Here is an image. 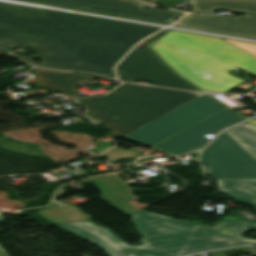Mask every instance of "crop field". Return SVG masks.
Returning <instances> with one entry per match:
<instances>
[{
  "label": "crop field",
  "mask_w": 256,
  "mask_h": 256,
  "mask_svg": "<svg viewBox=\"0 0 256 256\" xmlns=\"http://www.w3.org/2000/svg\"><path fill=\"white\" fill-rule=\"evenodd\" d=\"M157 30L160 28L0 3V52L41 67L114 78L112 65L137 41ZM20 45L39 54L26 57L11 51ZM36 57L44 63L33 62Z\"/></svg>",
  "instance_id": "obj_1"
},
{
  "label": "crop field",
  "mask_w": 256,
  "mask_h": 256,
  "mask_svg": "<svg viewBox=\"0 0 256 256\" xmlns=\"http://www.w3.org/2000/svg\"><path fill=\"white\" fill-rule=\"evenodd\" d=\"M133 226L143 237V245L132 247L112 233L110 228L91 221L60 225L63 229L100 246L110 256H175L233 245L256 242L242 238L245 230L256 232V223L222 220L215 227L170 219L140 210L132 215ZM201 237L198 239L197 237Z\"/></svg>",
  "instance_id": "obj_2"
},
{
  "label": "crop field",
  "mask_w": 256,
  "mask_h": 256,
  "mask_svg": "<svg viewBox=\"0 0 256 256\" xmlns=\"http://www.w3.org/2000/svg\"><path fill=\"white\" fill-rule=\"evenodd\" d=\"M150 45L179 75L203 91L224 92L242 80L236 67L256 75V58L218 37L172 30Z\"/></svg>",
  "instance_id": "obj_3"
},
{
  "label": "crop field",
  "mask_w": 256,
  "mask_h": 256,
  "mask_svg": "<svg viewBox=\"0 0 256 256\" xmlns=\"http://www.w3.org/2000/svg\"><path fill=\"white\" fill-rule=\"evenodd\" d=\"M162 88L121 85L102 97H82L88 115L104 122L110 134L123 137L200 96Z\"/></svg>",
  "instance_id": "obj_4"
},
{
  "label": "crop field",
  "mask_w": 256,
  "mask_h": 256,
  "mask_svg": "<svg viewBox=\"0 0 256 256\" xmlns=\"http://www.w3.org/2000/svg\"><path fill=\"white\" fill-rule=\"evenodd\" d=\"M193 12L215 13L216 8L244 13L242 18L189 14L180 26L256 39V0H189Z\"/></svg>",
  "instance_id": "obj_5"
},
{
  "label": "crop field",
  "mask_w": 256,
  "mask_h": 256,
  "mask_svg": "<svg viewBox=\"0 0 256 256\" xmlns=\"http://www.w3.org/2000/svg\"><path fill=\"white\" fill-rule=\"evenodd\" d=\"M225 107L204 94L124 138L152 147Z\"/></svg>",
  "instance_id": "obj_6"
},
{
  "label": "crop field",
  "mask_w": 256,
  "mask_h": 256,
  "mask_svg": "<svg viewBox=\"0 0 256 256\" xmlns=\"http://www.w3.org/2000/svg\"><path fill=\"white\" fill-rule=\"evenodd\" d=\"M162 30L144 40L142 50L134 48L130 54L116 67L122 80H146L150 84L161 87L200 91L178 75L174 74L147 46L169 32Z\"/></svg>",
  "instance_id": "obj_7"
},
{
  "label": "crop field",
  "mask_w": 256,
  "mask_h": 256,
  "mask_svg": "<svg viewBox=\"0 0 256 256\" xmlns=\"http://www.w3.org/2000/svg\"><path fill=\"white\" fill-rule=\"evenodd\" d=\"M200 162L214 179L256 178V159L225 131L204 149Z\"/></svg>",
  "instance_id": "obj_8"
},
{
  "label": "crop field",
  "mask_w": 256,
  "mask_h": 256,
  "mask_svg": "<svg viewBox=\"0 0 256 256\" xmlns=\"http://www.w3.org/2000/svg\"><path fill=\"white\" fill-rule=\"evenodd\" d=\"M245 119L234 111L225 108L153 148L164 151L170 156L182 155L193 149L199 150L211 140L204 137L206 134L215 135L220 130Z\"/></svg>",
  "instance_id": "obj_9"
},
{
  "label": "crop field",
  "mask_w": 256,
  "mask_h": 256,
  "mask_svg": "<svg viewBox=\"0 0 256 256\" xmlns=\"http://www.w3.org/2000/svg\"><path fill=\"white\" fill-rule=\"evenodd\" d=\"M240 145L256 158V127L247 123L226 130ZM220 193L256 209V179L216 180Z\"/></svg>",
  "instance_id": "obj_10"
},
{
  "label": "crop field",
  "mask_w": 256,
  "mask_h": 256,
  "mask_svg": "<svg viewBox=\"0 0 256 256\" xmlns=\"http://www.w3.org/2000/svg\"><path fill=\"white\" fill-rule=\"evenodd\" d=\"M45 4L126 9L123 15L176 19L184 13L145 9L146 4L135 0H27Z\"/></svg>",
  "instance_id": "obj_11"
},
{
  "label": "crop field",
  "mask_w": 256,
  "mask_h": 256,
  "mask_svg": "<svg viewBox=\"0 0 256 256\" xmlns=\"http://www.w3.org/2000/svg\"><path fill=\"white\" fill-rule=\"evenodd\" d=\"M120 173L102 175L89 180L102 192V198L121 212L130 215L139 209L133 207L129 201L136 199L129 189L128 183L118 178Z\"/></svg>",
  "instance_id": "obj_12"
},
{
  "label": "crop field",
  "mask_w": 256,
  "mask_h": 256,
  "mask_svg": "<svg viewBox=\"0 0 256 256\" xmlns=\"http://www.w3.org/2000/svg\"><path fill=\"white\" fill-rule=\"evenodd\" d=\"M35 76L39 80L41 86L56 90L70 98L78 96L77 91L73 90V86L82 80H92L93 78L86 75L56 72L44 69H35Z\"/></svg>",
  "instance_id": "obj_13"
},
{
  "label": "crop field",
  "mask_w": 256,
  "mask_h": 256,
  "mask_svg": "<svg viewBox=\"0 0 256 256\" xmlns=\"http://www.w3.org/2000/svg\"><path fill=\"white\" fill-rule=\"evenodd\" d=\"M39 214L54 224H64L92 219L76 206L62 202H53L46 210L39 212Z\"/></svg>",
  "instance_id": "obj_14"
},
{
  "label": "crop field",
  "mask_w": 256,
  "mask_h": 256,
  "mask_svg": "<svg viewBox=\"0 0 256 256\" xmlns=\"http://www.w3.org/2000/svg\"><path fill=\"white\" fill-rule=\"evenodd\" d=\"M69 8H77V9H84L88 12H95V13H101V14H108V15H115V16H121L124 10H118V9H104V8H88V7H72V6H65ZM121 17H127V18H133V19H139V20H145V21H151V22H157V23H163V24H169L173 22L174 20L169 19H155V18H142V17H128V16H121Z\"/></svg>",
  "instance_id": "obj_15"
},
{
  "label": "crop field",
  "mask_w": 256,
  "mask_h": 256,
  "mask_svg": "<svg viewBox=\"0 0 256 256\" xmlns=\"http://www.w3.org/2000/svg\"><path fill=\"white\" fill-rule=\"evenodd\" d=\"M225 41L233 44L234 46L240 48L241 50L249 53L250 55L256 57V44L238 42L233 40L225 39Z\"/></svg>",
  "instance_id": "obj_16"
},
{
  "label": "crop field",
  "mask_w": 256,
  "mask_h": 256,
  "mask_svg": "<svg viewBox=\"0 0 256 256\" xmlns=\"http://www.w3.org/2000/svg\"><path fill=\"white\" fill-rule=\"evenodd\" d=\"M4 221L2 215H0V222ZM0 256H9L1 247H0Z\"/></svg>",
  "instance_id": "obj_17"
},
{
  "label": "crop field",
  "mask_w": 256,
  "mask_h": 256,
  "mask_svg": "<svg viewBox=\"0 0 256 256\" xmlns=\"http://www.w3.org/2000/svg\"><path fill=\"white\" fill-rule=\"evenodd\" d=\"M248 123H250V124L256 126V120H254V119H251L250 121H248Z\"/></svg>",
  "instance_id": "obj_18"
}]
</instances>
